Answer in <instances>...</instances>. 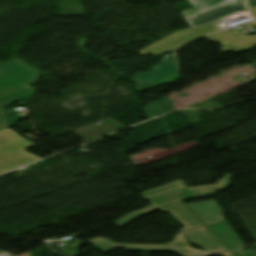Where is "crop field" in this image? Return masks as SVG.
Here are the masks:
<instances>
[{"label":"crop field","mask_w":256,"mask_h":256,"mask_svg":"<svg viewBox=\"0 0 256 256\" xmlns=\"http://www.w3.org/2000/svg\"><path fill=\"white\" fill-rule=\"evenodd\" d=\"M40 73L18 59L0 66V107L34 94L36 89L29 86ZM6 127L0 109V130Z\"/></svg>","instance_id":"1"},{"label":"crop field","mask_w":256,"mask_h":256,"mask_svg":"<svg viewBox=\"0 0 256 256\" xmlns=\"http://www.w3.org/2000/svg\"><path fill=\"white\" fill-rule=\"evenodd\" d=\"M141 195L153 205L124 216L116 222V225L122 227L137 217L144 216L158 210L157 207L180 202L184 199L199 197L196 188H186L182 180L145 192Z\"/></svg>","instance_id":"2"},{"label":"crop field","mask_w":256,"mask_h":256,"mask_svg":"<svg viewBox=\"0 0 256 256\" xmlns=\"http://www.w3.org/2000/svg\"><path fill=\"white\" fill-rule=\"evenodd\" d=\"M35 146L25 138L6 128L0 131V173L40 160L24 151Z\"/></svg>","instance_id":"3"},{"label":"crop field","mask_w":256,"mask_h":256,"mask_svg":"<svg viewBox=\"0 0 256 256\" xmlns=\"http://www.w3.org/2000/svg\"><path fill=\"white\" fill-rule=\"evenodd\" d=\"M89 242L104 253L117 248H126L127 251L176 252L182 256L204 254V252L201 250L192 248L189 243L186 242L182 232L176 234L174 240L166 245L115 244L114 242L105 238H98L90 240Z\"/></svg>","instance_id":"4"},{"label":"crop field","mask_w":256,"mask_h":256,"mask_svg":"<svg viewBox=\"0 0 256 256\" xmlns=\"http://www.w3.org/2000/svg\"><path fill=\"white\" fill-rule=\"evenodd\" d=\"M218 22H220V21H217V22L205 25V26H201V27H195V28H191L188 30L177 31L176 33L143 49L139 53L142 55L152 53L154 55L160 56V55L168 53L172 50H176L177 48L183 46L188 41H190L198 36L206 34L210 31L222 30L219 27H217Z\"/></svg>","instance_id":"5"},{"label":"crop field","mask_w":256,"mask_h":256,"mask_svg":"<svg viewBox=\"0 0 256 256\" xmlns=\"http://www.w3.org/2000/svg\"><path fill=\"white\" fill-rule=\"evenodd\" d=\"M245 9L244 0H232L194 16L187 17V20L192 27H195L217 21Z\"/></svg>","instance_id":"6"},{"label":"crop field","mask_w":256,"mask_h":256,"mask_svg":"<svg viewBox=\"0 0 256 256\" xmlns=\"http://www.w3.org/2000/svg\"><path fill=\"white\" fill-rule=\"evenodd\" d=\"M206 38L214 42L222 43L224 45L221 48L223 52H242L256 46V35L243 36L241 32L237 30L225 31L207 36Z\"/></svg>","instance_id":"7"},{"label":"crop field","mask_w":256,"mask_h":256,"mask_svg":"<svg viewBox=\"0 0 256 256\" xmlns=\"http://www.w3.org/2000/svg\"><path fill=\"white\" fill-rule=\"evenodd\" d=\"M186 236L196 245L203 247L206 253L230 250L205 227L184 231Z\"/></svg>","instance_id":"8"},{"label":"crop field","mask_w":256,"mask_h":256,"mask_svg":"<svg viewBox=\"0 0 256 256\" xmlns=\"http://www.w3.org/2000/svg\"><path fill=\"white\" fill-rule=\"evenodd\" d=\"M187 207L205 225L226 221L223 218L224 212L221 210L215 200L187 204Z\"/></svg>","instance_id":"9"},{"label":"crop field","mask_w":256,"mask_h":256,"mask_svg":"<svg viewBox=\"0 0 256 256\" xmlns=\"http://www.w3.org/2000/svg\"><path fill=\"white\" fill-rule=\"evenodd\" d=\"M159 210L162 213L169 212L177 222L183 224L185 228L182 230L203 226L194 216L189 213L182 202L161 207Z\"/></svg>","instance_id":"10"},{"label":"crop field","mask_w":256,"mask_h":256,"mask_svg":"<svg viewBox=\"0 0 256 256\" xmlns=\"http://www.w3.org/2000/svg\"><path fill=\"white\" fill-rule=\"evenodd\" d=\"M213 231L225 244L232 250L244 247L238 240L235 232L232 230L228 222L207 226Z\"/></svg>","instance_id":"11"},{"label":"crop field","mask_w":256,"mask_h":256,"mask_svg":"<svg viewBox=\"0 0 256 256\" xmlns=\"http://www.w3.org/2000/svg\"><path fill=\"white\" fill-rule=\"evenodd\" d=\"M180 72L176 54L173 52L166 60L164 67L152 78V84Z\"/></svg>","instance_id":"12"},{"label":"crop field","mask_w":256,"mask_h":256,"mask_svg":"<svg viewBox=\"0 0 256 256\" xmlns=\"http://www.w3.org/2000/svg\"><path fill=\"white\" fill-rule=\"evenodd\" d=\"M188 1L193 5V8L182 12L184 16L190 15V14H196L198 12L212 8L214 6H217L219 4H222L230 0H188Z\"/></svg>","instance_id":"13"},{"label":"crop field","mask_w":256,"mask_h":256,"mask_svg":"<svg viewBox=\"0 0 256 256\" xmlns=\"http://www.w3.org/2000/svg\"><path fill=\"white\" fill-rule=\"evenodd\" d=\"M168 56H164L161 59V63L157 66L151 68V70L147 73H136L133 75V81H136V89H139L145 85L151 83V78L162 68L164 65V61Z\"/></svg>","instance_id":"14"},{"label":"crop field","mask_w":256,"mask_h":256,"mask_svg":"<svg viewBox=\"0 0 256 256\" xmlns=\"http://www.w3.org/2000/svg\"><path fill=\"white\" fill-rule=\"evenodd\" d=\"M174 109L175 108L173 106V103L170 101H166V102L157 101L155 103H152L144 107V110L149 119Z\"/></svg>","instance_id":"15"},{"label":"crop field","mask_w":256,"mask_h":256,"mask_svg":"<svg viewBox=\"0 0 256 256\" xmlns=\"http://www.w3.org/2000/svg\"><path fill=\"white\" fill-rule=\"evenodd\" d=\"M232 174L226 175L223 179L219 180L215 185L196 187L200 196H212L216 195L217 190H225L230 183Z\"/></svg>","instance_id":"16"},{"label":"crop field","mask_w":256,"mask_h":256,"mask_svg":"<svg viewBox=\"0 0 256 256\" xmlns=\"http://www.w3.org/2000/svg\"><path fill=\"white\" fill-rule=\"evenodd\" d=\"M235 253L237 256H256V251L246 253L244 250H240V251H236Z\"/></svg>","instance_id":"17"},{"label":"crop field","mask_w":256,"mask_h":256,"mask_svg":"<svg viewBox=\"0 0 256 256\" xmlns=\"http://www.w3.org/2000/svg\"><path fill=\"white\" fill-rule=\"evenodd\" d=\"M249 9H250L253 17L256 19V6L250 7Z\"/></svg>","instance_id":"18"},{"label":"crop field","mask_w":256,"mask_h":256,"mask_svg":"<svg viewBox=\"0 0 256 256\" xmlns=\"http://www.w3.org/2000/svg\"><path fill=\"white\" fill-rule=\"evenodd\" d=\"M248 7L256 4V0H247Z\"/></svg>","instance_id":"19"},{"label":"crop field","mask_w":256,"mask_h":256,"mask_svg":"<svg viewBox=\"0 0 256 256\" xmlns=\"http://www.w3.org/2000/svg\"><path fill=\"white\" fill-rule=\"evenodd\" d=\"M222 256H236L235 254H233L232 252L229 253H223L221 254Z\"/></svg>","instance_id":"20"},{"label":"crop field","mask_w":256,"mask_h":256,"mask_svg":"<svg viewBox=\"0 0 256 256\" xmlns=\"http://www.w3.org/2000/svg\"><path fill=\"white\" fill-rule=\"evenodd\" d=\"M0 256H10V255L3 253V254H0Z\"/></svg>","instance_id":"21"},{"label":"crop field","mask_w":256,"mask_h":256,"mask_svg":"<svg viewBox=\"0 0 256 256\" xmlns=\"http://www.w3.org/2000/svg\"><path fill=\"white\" fill-rule=\"evenodd\" d=\"M253 65H254V67H255V69H256V62H255V63H253Z\"/></svg>","instance_id":"22"},{"label":"crop field","mask_w":256,"mask_h":256,"mask_svg":"<svg viewBox=\"0 0 256 256\" xmlns=\"http://www.w3.org/2000/svg\"><path fill=\"white\" fill-rule=\"evenodd\" d=\"M215 255H218V254H215ZM207 256H214V255H207Z\"/></svg>","instance_id":"23"},{"label":"crop field","mask_w":256,"mask_h":256,"mask_svg":"<svg viewBox=\"0 0 256 256\" xmlns=\"http://www.w3.org/2000/svg\"><path fill=\"white\" fill-rule=\"evenodd\" d=\"M0 253H3V252L0 251Z\"/></svg>","instance_id":"24"}]
</instances>
